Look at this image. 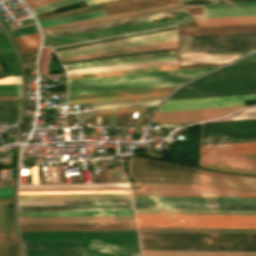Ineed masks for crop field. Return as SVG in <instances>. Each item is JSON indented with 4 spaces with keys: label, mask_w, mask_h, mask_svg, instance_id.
Masks as SVG:
<instances>
[{
    "label": "crop field",
    "mask_w": 256,
    "mask_h": 256,
    "mask_svg": "<svg viewBox=\"0 0 256 256\" xmlns=\"http://www.w3.org/2000/svg\"><path fill=\"white\" fill-rule=\"evenodd\" d=\"M217 67L68 81V96L182 85Z\"/></svg>",
    "instance_id": "obj_1"
},
{
    "label": "crop field",
    "mask_w": 256,
    "mask_h": 256,
    "mask_svg": "<svg viewBox=\"0 0 256 256\" xmlns=\"http://www.w3.org/2000/svg\"><path fill=\"white\" fill-rule=\"evenodd\" d=\"M143 250L256 251V234L139 233Z\"/></svg>",
    "instance_id": "obj_2"
},
{
    "label": "crop field",
    "mask_w": 256,
    "mask_h": 256,
    "mask_svg": "<svg viewBox=\"0 0 256 256\" xmlns=\"http://www.w3.org/2000/svg\"><path fill=\"white\" fill-rule=\"evenodd\" d=\"M244 94H256V64L226 66L188 83L166 100Z\"/></svg>",
    "instance_id": "obj_3"
},
{
    "label": "crop field",
    "mask_w": 256,
    "mask_h": 256,
    "mask_svg": "<svg viewBox=\"0 0 256 256\" xmlns=\"http://www.w3.org/2000/svg\"><path fill=\"white\" fill-rule=\"evenodd\" d=\"M26 256H141L138 240L23 242Z\"/></svg>",
    "instance_id": "obj_4"
},
{
    "label": "crop field",
    "mask_w": 256,
    "mask_h": 256,
    "mask_svg": "<svg viewBox=\"0 0 256 256\" xmlns=\"http://www.w3.org/2000/svg\"><path fill=\"white\" fill-rule=\"evenodd\" d=\"M199 178L200 185H130H143V189H132V191L256 193V177L227 175L199 170Z\"/></svg>",
    "instance_id": "obj_5"
},
{
    "label": "crop field",
    "mask_w": 256,
    "mask_h": 256,
    "mask_svg": "<svg viewBox=\"0 0 256 256\" xmlns=\"http://www.w3.org/2000/svg\"><path fill=\"white\" fill-rule=\"evenodd\" d=\"M138 226L256 228V216L136 214Z\"/></svg>",
    "instance_id": "obj_6"
},
{
    "label": "crop field",
    "mask_w": 256,
    "mask_h": 256,
    "mask_svg": "<svg viewBox=\"0 0 256 256\" xmlns=\"http://www.w3.org/2000/svg\"><path fill=\"white\" fill-rule=\"evenodd\" d=\"M142 158H130L129 163L144 164ZM129 164L131 177L136 182L198 183L197 169L145 160L144 166Z\"/></svg>",
    "instance_id": "obj_7"
},
{
    "label": "crop field",
    "mask_w": 256,
    "mask_h": 256,
    "mask_svg": "<svg viewBox=\"0 0 256 256\" xmlns=\"http://www.w3.org/2000/svg\"><path fill=\"white\" fill-rule=\"evenodd\" d=\"M189 21H192V19L189 17L188 14L179 15L175 17L173 20H169V21H162V22H156V23H152V21H146V22H140V23L107 28L102 30H96L91 32H85L80 34L46 39L44 40L43 46L51 45V47H54L59 45H65V44H70V43H75L80 41H86V40H91V39H96L101 37H107V36H112V35H117L122 33H128V32H133V31H138L143 29H149V28L170 25L175 23L189 22Z\"/></svg>",
    "instance_id": "obj_8"
},
{
    "label": "crop field",
    "mask_w": 256,
    "mask_h": 256,
    "mask_svg": "<svg viewBox=\"0 0 256 256\" xmlns=\"http://www.w3.org/2000/svg\"><path fill=\"white\" fill-rule=\"evenodd\" d=\"M256 138V119L203 123L201 142Z\"/></svg>",
    "instance_id": "obj_9"
},
{
    "label": "crop field",
    "mask_w": 256,
    "mask_h": 256,
    "mask_svg": "<svg viewBox=\"0 0 256 256\" xmlns=\"http://www.w3.org/2000/svg\"><path fill=\"white\" fill-rule=\"evenodd\" d=\"M175 26H177V25L169 26V27H175ZM169 27H163V28H158V29H164V28H169ZM158 29H153V30H158ZM153 30H147V31H142V32H148V31H153ZM175 31H177V30L163 32V33H157V34H152V35H147V36H153V35L164 34V33L175 32ZM142 32H136V33H131V34H137V33H142ZM131 34H125V35H120V36H126V35H131ZM120 36H114V37H109V38L92 40V41H87V42H82V43H88V42H93V41L110 39V38H115V37H120ZM147 36H141V37H147ZM141 37H136V38H141ZM136 38H130V39H136ZM130 39L106 42V43H103V44L125 41V40H130ZM174 40H177V32L164 34V35L153 36V37L141 38V39H136V40H130V41H125V42H119V43H114V44H108V45L100 44V45H103V46L95 45L97 47L89 46V47H92V48L84 47L86 49H80V48H79L80 50L73 49L75 51H69L68 50L69 52H64L63 51L64 53H58L57 52L58 53L57 56H58V58H62V57H68V56H75V55H82V54L95 53V52H101V51L115 50V49L128 48V47H135V46L148 45V44L161 43V42H168V41H174ZM82 43H76V44H71V45L54 47L52 49L66 47V46H72V45H77V44H82Z\"/></svg>",
    "instance_id": "obj_10"
},
{
    "label": "crop field",
    "mask_w": 256,
    "mask_h": 256,
    "mask_svg": "<svg viewBox=\"0 0 256 256\" xmlns=\"http://www.w3.org/2000/svg\"><path fill=\"white\" fill-rule=\"evenodd\" d=\"M23 241L138 239L137 231L21 232Z\"/></svg>",
    "instance_id": "obj_11"
},
{
    "label": "crop field",
    "mask_w": 256,
    "mask_h": 256,
    "mask_svg": "<svg viewBox=\"0 0 256 256\" xmlns=\"http://www.w3.org/2000/svg\"><path fill=\"white\" fill-rule=\"evenodd\" d=\"M200 167L228 173L256 174V155L200 156Z\"/></svg>",
    "instance_id": "obj_12"
},
{
    "label": "crop field",
    "mask_w": 256,
    "mask_h": 256,
    "mask_svg": "<svg viewBox=\"0 0 256 256\" xmlns=\"http://www.w3.org/2000/svg\"><path fill=\"white\" fill-rule=\"evenodd\" d=\"M251 99H256V95L164 101L163 104L156 110V112L238 106L244 105L243 100Z\"/></svg>",
    "instance_id": "obj_13"
},
{
    "label": "crop field",
    "mask_w": 256,
    "mask_h": 256,
    "mask_svg": "<svg viewBox=\"0 0 256 256\" xmlns=\"http://www.w3.org/2000/svg\"><path fill=\"white\" fill-rule=\"evenodd\" d=\"M21 231L137 230L135 223L19 224Z\"/></svg>",
    "instance_id": "obj_14"
},
{
    "label": "crop field",
    "mask_w": 256,
    "mask_h": 256,
    "mask_svg": "<svg viewBox=\"0 0 256 256\" xmlns=\"http://www.w3.org/2000/svg\"><path fill=\"white\" fill-rule=\"evenodd\" d=\"M243 107L244 106L161 112V113H155L150 122H154V121H159V123L193 122V121L213 118V117L223 115Z\"/></svg>",
    "instance_id": "obj_15"
},
{
    "label": "crop field",
    "mask_w": 256,
    "mask_h": 256,
    "mask_svg": "<svg viewBox=\"0 0 256 256\" xmlns=\"http://www.w3.org/2000/svg\"><path fill=\"white\" fill-rule=\"evenodd\" d=\"M181 8H182V6L180 5V3H177V4L166 5V6H160V7H154V8H149V9L127 12V13H121V14H116V15L82 20V21H77V22H71V23H66V24L43 27V28H41V30H42V33H45V32L57 31V30H62V29L74 28V27H79V26H85V25H90V24L102 23V22H107V21L119 20V19H124V18L136 17V16H141V15H147V14L164 12V11L181 9Z\"/></svg>",
    "instance_id": "obj_16"
},
{
    "label": "crop field",
    "mask_w": 256,
    "mask_h": 256,
    "mask_svg": "<svg viewBox=\"0 0 256 256\" xmlns=\"http://www.w3.org/2000/svg\"><path fill=\"white\" fill-rule=\"evenodd\" d=\"M132 197L134 202L256 204V198H239V197H167V196H132Z\"/></svg>",
    "instance_id": "obj_17"
},
{
    "label": "crop field",
    "mask_w": 256,
    "mask_h": 256,
    "mask_svg": "<svg viewBox=\"0 0 256 256\" xmlns=\"http://www.w3.org/2000/svg\"><path fill=\"white\" fill-rule=\"evenodd\" d=\"M255 50L179 54V65L231 62Z\"/></svg>",
    "instance_id": "obj_18"
},
{
    "label": "crop field",
    "mask_w": 256,
    "mask_h": 256,
    "mask_svg": "<svg viewBox=\"0 0 256 256\" xmlns=\"http://www.w3.org/2000/svg\"><path fill=\"white\" fill-rule=\"evenodd\" d=\"M205 18L256 15V2L203 5Z\"/></svg>",
    "instance_id": "obj_19"
},
{
    "label": "crop field",
    "mask_w": 256,
    "mask_h": 256,
    "mask_svg": "<svg viewBox=\"0 0 256 256\" xmlns=\"http://www.w3.org/2000/svg\"><path fill=\"white\" fill-rule=\"evenodd\" d=\"M135 209L256 210V205L134 203Z\"/></svg>",
    "instance_id": "obj_20"
},
{
    "label": "crop field",
    "mask_w": 256,
    "mask_h": 256,
    "mask_svg": "<svg viewBox=\"0 0 256 256\" xmlns=\"http://www.w3.org/2000/svg\"><path fill=\"white\" fill-rule=\"evenodd\" d=\"M183 13H186L184 9L169 11V12L152 14V15L141 16V17H136V18H130V19H124V20H119V21H113V22H107V23H102V24L79 27V28H74V29L45 33V34H43V37H44V39L52 38V37H57V36H62V35L79 33V32H84V31H89V30H95V29H100V28H106V27H111V26H116V25H122V24H127V23L143 21V20L174 16V15L183 14Z\"/></svg>",
    "instance_id": "obj_21"
},
{
    "label": "crop field",
    "mask_w": 256,
    "mask_h": 256,
    "mask_svg": "<svg viewBox=\"0 0 256 256\" xmlns=\"http://www.w3.org/2000/svg\"><path fill=\"white\" fill-rule=\"evenodd\" d=\"M135 222L134 216L19 218V223Z\"/></svg>",
    "instance_id": "obj_22"
},
{
    "label": "crop field",
    "mask_w": 256,
    "mask_h": 256,
    "mask_svg": "<svg viewBox=\"0 0 256 256\" xmlns=\"http://www.w3.org/2000/svg\"><path fill=\"white\" fill-rule=\"evenodd\" d=\"M131 199L130 194L19 195V201Z\"/></svg>",
    "instance_id": "obj_23"
},
{
    "label": "crop field",
    "mask_w": 256,
    "mask_h": 256,
    "mask_svg": "<svg viewBox=\"0 0 256 256\" xmlns=\"http://www.w3.org/2000/svg\"><path fill=\"white\" fill-rule=\"evenodd\" d=\"M256 154V142L201 146L200 155Z\"/></svg>",
    "instance_id": "obj_24"
},
{
    "label": "crop field",
    "mask_w": 256,
    "mask_h": 256,
    "mask_svg": "<svg viewBox=\"0 0 256 256\" xmlns=\"http://www.w3.org/2000/svg\"><path fill=\"white\" fill-rule=\"evenodd\" d=\"M133 210L132 205L18 206V211Z\"/></svg>",
    "instance_id": "obj_25"
},
{
    "label": "crop field",
    "mask_w": 256,
    "mask_h": 256,
    "mask_svg": "<svg viewBox=\"0 0 256 256\" xmlns=\"http://www.w3.org/2000/svg\"><path fill=\"white\" fill-rule=\"evenodd\" d=\"M177 47V41L59 59L60 62Z\"/></svg>",
    "instance_id": "obj_26"
},
{
    "label": "crop field",
    "mask_w": 256,
    "mask_h": 256,
    "mask_svg": "<svg viewBox=\"0 0 256 256\" xmlns=\"http://www.w3.org/2000/svg\"><path fill=\"white\" fill-rule=\"evenodd\" d=\"M138 230L139 232L256 233V229H240V228L138 227Z\"/></svg>",
    "instance_id": "obj_27"
},
{
    "label": "crop field",
    "mask_w": 256,
    "mask_h": 256,
    "mask_svg": "<svg viewBox=\"0 0 256 256\" xmlns=\"http://www.w3.org/2000/svg\"><path fill=\"white\" fill-rule=\"evenodd\" d=\"M256 31V25L179 29V36Z\"/></svg>",
    "instance_id": "obj_28"
},
{
    "label": "crop field",
    "mask_w": 256,
    "mask_h": 256,
    "mask_svg": "<svg viewBox=\"0 0 256 256\" xmlns=\"http://www.w3.org/2000/svg\"><path fill=\"white\" fill-rule=\"evenodd\" d=\"M19 217L134 215L133 211L18 212Z\"/></svg>",
    "instance_id": "obj_29"
},
{
    "label": "crop field",
    "mask_w": 256,
    "mask_h": 256,
    "mask_svg": "<svg viewBox=\"0 0 256 256\" xmlns=\"http://www.w3.org/2000/svg\"><path fill=\"white\" fill-rule=\"evenodd\" d=\"M143 256H256V252L142 251Z\"/></svg>",
    "instance_id": "obj_30"
},
{
    "label": "crop field",
    "mask_w": 256,
    "mask_h": 256,
    "mask_svg": "<svg viewBox=\"0 0 256 256\" xmlns=\"http://www.w3.org/2000/svg\"><path fill=\"white\" fill-rule=\"evenodd\" d=\"M177 56V51L63 65L64 68Z\"/></svg>",
    "instance_id": "obj_31"
},
{
    "label": "crop field",
    "mask_w": 256,
    "mask_h": 256,
    "mask_svg": "<svg viewBox=\"0 0 256 256\" xmlns=\"http://www.w3.org/2000/svg\"><path fill=\"white\" fill-rule=\"evenodd\" d=\"M10 202L11 198L0 199V239L15 237L9 219Z\"/></svg>",
    "instance_id": "obj_32"
},
{
    "label": "crop field",
    "mask_w": 256,
    "mask_h": 256,
    "mask_svg": "<svg viewBox=\"0 0 256 256\" xmlns=\"http://www.w3.org/2000/svg\"><path fill=\"white\" fill-rule=\"evenodd\" d=\"M169 92H171V91L158 92V93H147V94H136V95H126V96L105 97V98L73 100V101H68V104L76 105V104H87V103L119 101V100H129V99H139V98L160 97V96H166Z\"/></svg>",
    "instance_id": "obj_33"
},
{
    "label": "crop field",
    "mask_w": 256,
    "mask_h": 256,
    "mask_svg": "<svg viewBox=\"0 0 256 256\" xmlns=\"http://www.w3.org/2000/svg\"><path fill=\"white\" fill-rule=\"evenodd\" d=\"M136 213H170V214H240L256 215V211H204V210H135Z\"/></svg>",
    "instance_id": "obj_34"
},
{
    "label": "crop field",
    "mask_w": 256,
    "mask_h": 256,
    "mask_svg": "<svg viewBox=\"0 0 256 256\" xmlns=\"http://www.w3.org/2000/svg\"><path fill=\"white\" fill-rule=\"evenodd\" d=\"M172 69H177V65L152 67V68H142V69H132V70H122V71H112V72H102V73H92V74H82V75H72V76H68V80L80 79V78H89V77H97V76H107V75H118V74L140 73V72H150V71L172 70Z\"/></svg>",
    "instance_id": "obj_35"
},
{
    "label": "crop field",
    "mask_w": 256,
    "mask_h": 256,
    "mask_svg": "<svg viewBox=\"0 0 256 256\" xmlns=\"http://www.w3.org/2000/svg\"><path fill=\"white\" fill-rule=\"evenodd\" d=\"M199 26L256 23V16L195 20Z\"/></svg>",
    "instance_id": "obj_36"
},
{
    "label": "crop field",
    "mask_w": 256,
    "mask_h": 256,
    "mask_svg": "<svg viewBox=\"0 0 256 256\" xmlns=\"http://www.w3.org/2000/svg\"><path fill=\"white\" fill-rule=\"evenodd\" d=\"M129 187L128 184L19 185V189Z\"/></svg>",
    "instance_id": "obj_37"
},
{
    "label": "crop field",
    "mask_w": 256,
    "mask_h": 256,
    "mask_svg": "<svg viewBox=\"0 0 256 256\" xmlns=\"http://www.w3.org/2000/svg\"><path fill=\"white\" fill-rule=\"evenodd\" d=\"M60 202V201H47ZM75 204H132L131 200H103V201H61V205ZM18 205H60V203H18Z\"/></svg>",
    "instance_id": "obj_38"
},
{
    "label": "crop field",
    "mask_w": 256,
    "mask_h": 256,
    "mask_svg": "<svg viewBox=\"0 0 256 256\" xmlns=\"http://www.w3.org/2000/svg\"><path fill=\"white\" fill-rule=\"evenodd\" d=\"M105 15L103 10L39 22L41 27Z\"/></svg>",
    "instance_id": "obj_39"
},
{
    "label": "crop field",
    "mask_w": 256,
    "mask_h": 256,
    "mask_svg": "<svg viewBox=\"0 0 256 256\" xmlns=\"http://www.w3.org/2000/svg\"><path fill=\"white\" fill-rule=\"evenodd\" d=\"M20 53L38 49L40 38L38 33L14 39Z\"/></svg>",
    "instance_id": "obj_40"
},
{
    "label": "crop field",
    "mask_w": 256,
    "mask_h": 256,
    "mask_svg": "<svg viewBox=\"0 0 256 256\" xmlns=\"http://www.w3.org/2000/svg\"><path fill=\"white\" fill-rule=\"evenodd\" d=\"M176 87H178V86L165 87V88H155V89H145V90L124 91V92H114V93L93 94V95H83V96H73V97H68V100L83 99V98H94V97H105V96H115V95H126V94H136V93H147V92H158V91H168V90H174Z\"/></svg>",
    "instance_id": "obj_41"
},
{
    "label": "crop field",
    "mask_w": 256,
    "mask_h": 256,
    "mask_svg": "<svg viewBox=\"0 0 256 256\" xmlns=\"http://www.w3.org/2000/svg\"><path fill=\"white\" fill-rule=\"evenodd\" d=\"M82 1H86V0H59V1H56V2L49 3V4H45V5H42V6L35 7V8H31V11L34 13V15H36V14H40V13L47 12V11H50V10H54V9H57V8H61V7H64V6L79 3V2H82Z\"/></svg>",
    "instance_id": "obj_42"
},
{
    "label": "crop field",
    "mask_w": 256,
    "mask_h": 256,
    "mask_svg": "<svg viewBox=\"0 0 256 256\" xmlns=\"http://www.w3.org/2000/svg\"><path fill=\"white\" fill-rule=\"evenodd\" d=\"M20 106L0 107V122H18Z\"/></svg>",
    "instance_id": "obj_43"
},
{
    "label": "crop field",
    "mask_w": 256,
    "mask_h": 256,
    "mask_svg": "<svg viewBox=\"0 0 256 256\" xmlns=\"http://www.w3.org/2000/svg\"><path fill=\"white\" fill-rule=\"evenodd\" d=\"M0 256H20L15 238L0 240Z\"/></svg>",
    "instance_id": "obj_44"
},
{
    "label": "crop field",
    "mask_w": 256,
    "mask_h": 256,
    "mask_svg": "<svg viewBox=\"0 0 256 256\" xmlns=\"http://www.w3.org/2000/svg\"><path fill=\"white\" fill-rule=\"evenodd\" d=\"M132 195H168V196H240V197H256V194H203V193H132Z\"/></svg>",
    "instance_id": "obj_45"
},
{
    "label": "crop field",
    "mask_w": 256,
    "mask_h": 256,
    "mask_svg": "<svg viewBox=\"0 0 256 256\" xmlns=\"http://www.w3.org/2000/svg\"><path fill=\"white\" fill-rule=\"evenodd\" d=\"M0 96H21V84L0 85Z\"/></svg>",
    "instance_id": "obj_46"
},
{
    "label": "crop field",
    "mask_w": 256,
    "mask_h": 256,
    "mask_svg": "<svg viewBox=\"0 0 256 256\" xmlns=\"http://www.w3.org/2000/svg\"><path fill=\"white\" fill-rule=\"evenodd\" d=\"M50 52H52L51 48H42L39 58V74H47Z\"/></svg>",
    "instance_id": "obj_47"
},
{
    "label": "crop field",
    "mask_w": 256,
    "mask_h": 256,
    "mask_svg": "<svg viewBox=\"0 0 256 256\" xmlns=\"http://www.w3.org/2000/svg\"><path fill=\"white\" fill-rule=\"evenodd\" d=\"M33 24H35V23H33ZM33 24H29V25H33ZM29 25H24V26H29ZM24 26H20V27H24ZM20 27H15V28H20ZM15 28H11V29H15ZM11 29H8V30H11ZM9 32L11 33L12 37L15 38V37L23 36V35L36 33L38 31H37L36 25H33V26H29V27L11 30Z\"/></svg>",
    "instance_id": "obj_48"
},
{
    "label": "crop field",
    "mask_w": 256,
    "mask_h": 256,
    "mask_svg": "<svg viewBox=\"0 0 256 256\" xmlns=\"http://www.w3.org/2000/svg\"><path fill=\"white\" fill-rule=\"evenodd\" d=\"M232 120L256 118V106L231 114Z\"/></svg>",
    "instance_id": "obj_49"
},
{
    "label": "crop field",
    "mask_w": 256,
    "mask_h": 256,
    "mask_svg": "<svg viewBox=\"0 0 256 256\" xmlns=\"http://www.w3.org/2000/svg\"><path fill=\"white\" fill-rule=\"evenodd\" d=\"M159 102L160 101L136 103V104H126V105H116V106H106V107H96V108H91V109H92V111H97V110L119 109V108H129V107L151 106V105H157Z\"/></svg>",
    "instance_id": "obj_50"
},
{
    "label": "crop field",
    "mask_w": 256,
    "mask_h": 256,
    "mask_svg": "<svg viewBox=\"0 0 256 256\" xmlns=\"http://www.w3.org/2000/svg\"><path fill=\"white\" fill-rule=\"evenodd\" d=\"M130 193L129 191L19 192V194Z\"/></svg>",
    "instance_id": "obj_51"
},
{
    "label": "crop field",
    "mask_w": 256,
    "mask_h": 256,
    "mask_svg": "<svg viewBox=\"0 0 256 256\" xmlns=\"http://www.w3.org/2000/svg\"><path fill=\"white\" fill-rule=\"evenodd\" d=\"M110 182H127L121 169H107Z\"/></svg>",
    "instance_id": "obj_52"
},
{
    "label": "crop field",
    "mask_w": 256,
    "mask_h": 256,
    "mask_svg": "<svg viewBox=\"0 0 256 256\" xmlns=\"http://www.w3.org/2000/svg\"><path fill=\"white\" fill-rule=\"evenodd\" d=\"M0 60L2 64L5 66V68L8 70V72L19 70L15 56L2 57L0 58Z\"/></svg>",
    "instance_id": "obj_53"
},
{
    "label": "crop field",
    "mask_w": 256,
    "mask_h": 256,
    "mask_svg": "<svg viewBox=\"0 0 256 256\" xmlns=\"http://www.w3.org/2000/svg\"><path fill=\"white\" fill-rule=\"evenodd\" d=\"M172 59H177V57L154 59V60H145V61H135V62H126V63L107 64V65L88 66V67H79V68H69V69H65V70L91 68V67H101V66H111V65H122V64H132V63H142V62H152V61H162V60H172Z\"/></svg>",
    "instance_id": "obj_54"
},
{
    "label": "crop field",
    "mask_w": 256,
    "mask_h": 256,
    "mask_svg": "<svg viewBox=\"0 0 256 256\" xmlns=\"http://www.w3.org/2000/svg\"><path fill=\"white\" fill-rule=\"evenodd\" d=\"M142 110H147V107H142V108H131V109H119V110H108V111H97V112H92V114H93V115H98V114H109V113L131 112V111H142Z\"/></svg>",
    "instance_id": "obj_55"
},
{
    "label": "crop field",
    "mask_w": 256,
    "mask_h": 256,
    "mask_svg": "<svg viewBox=\"0 0 256 256\" xmlns=\"http://www.w3.org/2000/svg\"><path fill=\"white\" fill-rule=\"evenodd\" d=\"M74 190H129V188H102V189H46V190H19V191H74Z\"/></svg>",
    "instance_id": "obj_56"
},
{
    "label": "crop field",
    "mask_w": 256,
    "mask_h": 256,
    "mask_svg": "<svg viewBox=\"0 0 256 256\" xmlns=\"http://www.w3.org/2000/svg\"><path fill=\"white\" fill-rule=\"evenodd\" d=\"M247 63H256V53L251 54V55H249V56H247V57H245V58H243V59H241V60L231 64V65H234V64H247Z\"/></svg>",
    "instance_id": "obj_57"
},
{
    "label": "crop field",
    "mask_w": 256,
    "mask_h": 256,
    "mask_svg": "<svg viewBox=\"0 0 256 256\" xmlns=\"http://www.w3.org/2000/svg\"><path fill=\"white\" fill-rule=\"evenodd\" d=\"M13 186L0 188V198L12 196Z\"/></svg>",
    "instance_id": "obj_58"
},
{
    "label": "crop field",
    "mask_w": 256,
    "mask_h": 256,
    "mask_svg": "<svg viewBox=\"0 0 256 256\" xmlns=\"http://www.w3.org/2000/svg\"><path fill=\"white\" fill-rule=\"evenodd\" d=\"M4 83H20V76L5 77L0 80V84Z\"/></svg>",
    "instance_id": "obj_59"
},
{
    "label": "crop field",
    "mask_w": 256,
    "mask_h": 256,
    "mask_svg": "<svg viewBox=\"0 0 256 256\" xmlns=\"http://www.w3.org/2000/svg\"><path fill=\"white\" fill-rule=\"evenodd\" d=\"M248 141H256V139L234 140V141H221V142H207V143H201V145H207V144H221V143H234V142H248Z\"/></svg>",
    "instance_id": "obj_60"
},
{
    "label": "crop field",
    "mask_w": 256,
    "mask_h": 256,
    "mask_svg": "<svg viewBox=\"0 0 256 256\" xmlns=\"http://www.w3.org/2000/svg\"><path fill=\"white\" fill-rule=\"evenodd\" d=\"M144 114L145 112H139L135 128H139L141 126Z\"/></svg>",
    "instance_id": "obj_61"
},
{
    "label": "crop field",
    "mask_w": 256,
    "mask_h": 256,
    "mask_svg": "<svg viewBox=\"0 0 256 256\" xmlns=\"http://www.w3.org/2000/svg\"><path fill=\"white\" fill-rule=\"evenodd\" d=\"M32 183H38L36 166L32 167Z\"/></svg>",
    "instance_id": "obj_62"
},
{
    "label": "crop field",
    "mask_w": 256,
    "mask_h": 256,
    "mask_svg": "<svg viewBox=\"0 0 256 256\" xmlns=\"http://www.w3.org/2000/svg\"><path fill=\"white\" fill-rule=\"evenodd\" d=\"M106 1H111V0H90V1H86V4L87 6H90V5H94V4H98Z\"/></svg>",
    "instance_id": "obj_63"
},
{
    "label": "crop field",
    "mask_w": 256,
    "mask_h": 256,
    "mask_svg": "<svg viewBox=\"0 0 256 256\" xmlns=\"http://www.w3.org/2000/svg\"><path fill=\"white\" fill-rule=\"evenodd\" d=\"M13 179L0 181V187L12 185Z\"/></svg>",
    "instance_id": "obj_64"
},
{
    "label": "crop field",
    "mask_w": 256,
    "mask_h": 256,
    "mask_svg": "<svg viewBox=\"0 0 256 256\" xmlns=\"http://www.w3.org/2000/svg\"><path fill=\"white\" fill-rule=\"evenodd\" d=\"M52 1H56V0H47V1H43V2H40V3L33 4V5H29V8L35 7V6H38V5H42V4H45V3H49V2H52Z\"/></svg>",
    "instance_id": "obj_65"
},
{
    "label": "crop field",
    "mask_w": 256,
    "mask_h": 256,
    "mask_svg": "<svg viewBox=\"0 0 256 256\" xmlns=\"http://www.w3.org/2000/svg\"><path fill=\"white\" fill-rule=\"evenodd\" d=\"M180 25H182V24H180ZM181 27H184V26H180L178 28H181ZM185 27H198V26L194 22H191V23H185Z\"/></svg>",
    "instance_id": "obj_66"
},
{
    "label": "crop field",
    "mask_w": 256,
    "mask_h": 256,
    "mask_svg": "<svg viewBox=\"0 0 256 256\" xmlns=\"http://www.w3.org/2000/svg\"><path fill=\"white\" fill-rule=\"evenodd\" d=\"M40 1H43V0H25V3L27 5H29V4H33V3H36V2H40Z\"/></svg>",
    "instance_id": "obj_67"
},
{
    "label": "crop field",
    "mask_w": 256,
    "mask_h": 256,
    "mask_svg": "<svg viewBox=\"0 0 256 256\" xmlns=\"http://www.w3.org/2000/svg\"><path fill=\"white\" fill-rule=\"evenodd\" d=\"M132 118V113H129V116H128V119H131ZM135 120L136 119H132V124L134 125L135 124ZM128 124H131V120H128Z\"/></svg>",
    "instance_id": "obj_68"
},
{
    "label": "crop field",
    "mask_w": 256,
    "mask_h": 256,
    "mask_svg": "<svg viewBox=\"0 0 256 256\" xmlns=\"http://www.w3.org/2000/svg\"><path fill=\"white\" fill-rule=\"evenodd\" d=\"M0 102H21V100H0Z\"/></svg>",
    "instance_id": "obj_69"
},
{
    "label": "crop field",
    "mask_w": 256,
    "mask_h": 256,
    "mask_svg": "<svg viewBox=\"0 0 256 256\" xmlns=\"http://www.w3.org/2000/svg\"><path fill=\"white\" fill-rule=\"evenodd\" d=\"M100 124V116H97V125Z\"/></svg>",
    "instance_id": "obj_70"
},
{
    "label": "crop field",
    "mask_w": 256,
    "mask_h": 256,
    "mask_svg": "<svg viewBox=\"0 0 256 256\" xmlns=\"http://www.w3.org/2000/svg\"><path fill=\"white\" fill-rule=\"evenodd\" d=\"M5 70H3V71H0V76H2V75H5Z\"/></svg>",
    "instance_id": "obj_71"
},
{
    "label": "crop field",
    "mask_w": 256,
    "mask_h": 256,
    "mask_svg": "<svg viewBox=\"0 0 256 256\" xmlns=\"http://www.w3.org/2000/svg\"><path fill=\"white\" fill-rule=\"evenodd\" d=\"M0 70H3V68L0 66Z\"/></svg>",
    "instance_id": "obj_72"
}]
</instances>
